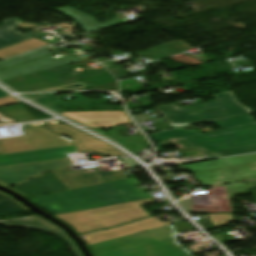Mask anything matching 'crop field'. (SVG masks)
<instances>
[{
  "instance_id": "obj_1",
  "label": "crop field",
  "mask_w": 256,
  "mask_h": 256,
  "mask_svg": "<svg viewBox=\"0 0 256 256\" xmlns=\"http://www.w3.org/2000/svg\"><path fill=\"white\" fill-rule=\"evenodd\" d=\"M135 179H126L29 199L51 215L151 197Z\"/></svg>"
},
{
  "instance_id": "obj_2",
  "label": "crop field",
  "mask_w": 256,
  "mask_h": 256,
  "mask_svg": "<svg viewBox=\"0 0 256 256\" xmlns=\"http://www.w3.org/2000/svg\"><path fill=\"white\" fill-rule=\"evenodd\" d=\"M173 225L90 245L94 256H191L175 240ZM179 232L195 230L188 222L174 224Z\"/></svg>"
},
{
  "instance_id": "obj_3",
  "label": "crop field",
  "mask_w": 256,
  "mask_h": 256,
  "mask_svg": "<svg viewBox=\"0 0 256 256\" xmlns=\"http://www.w3.org/2000/svg\"><path fill=\"white\" fill-rule=\"evenodd\" d=\"M163 142L155 144L158 152L164 151ZM172 142L174 145H180L181 150L198 149L202 157H225L256 152V124L173 139Z\"/></svg>"
},
{
  "instance_id": "obj_4",
  "label": "crop field",
  "mask_w": 256,
  "mask_h": 256,
  "mask_svg": "<svg viewBox=\"0 0 256 256\" xmlns=\"http://www.w3.org/2000/svg\"><path fill=\"white\" fill-rule=\"evenodd\" d=\"M217 100L178 108L174 103L155 106L172 127L251 114V109L239 103L233 92L214 95Z\"/></svg>"
},
{
  "instance_id": "obj_5",
  "label": "crop field",
  "mask_w": 256,
  "mask_h": 256,
  "mask_svg": "<svg viewBox=\"0 0 256 256\" xmlns=\"http://www.w3.org/2000/svg\"><path fill=\"white\" fill-rule=\"evenodd\" d=\"M153 198L77 211L55 217L73 227L79 234L110 228L150 215L140 206L154 203Z\"/></svg>"
},
{
  "instance_id": "obj_6",
  "label": "crop field",
  "mask_w": 256,
  "mask_h": 256,
  "mask_svg": "<svg viewBox=\"0 0 256 256\" xmlns=\"http://www.w3.org/2000/svg\"><path fill=\"white\" fill-rule=\"evenodd\" d=\"M102 71V73H100ZM79 74L92 86L115 82L104 69L73 73L64 65L3 81L19 92H31L69 82L80 81Z\"/></svg>"
},
{
  "instance_id": "obj_7",
  "label": "crop field",
  "mask_w": 256,
  "mask_h": 256,
  "mask_svg": "<svg viewBox=\"0 0 256 256\" xmlns=\"http://www.w3.org/2000/svg\"><path fill=\"white\" fill-rule=\"evenodd\" d=\"M33 101L89 128H110L117 124H132L124 111L60 113L57 105L44 103L55 101V95Z\"/></svg>"
},
{
  "instance_id": "obj_8",
  "label": "crop field",
  "mask_w": 256,
  "mask_h": 256,
  "mask_svg": "<svg viewBox=\"0 0 256 256\" xmlns=\"http://www.w3.org/2000/svg\"><path fill=\"white\" fill-rule=\"evenodd\" d=\"M160 218H162V217L161 216L152 217V218L137 221L134 223L119 226V227L112 228V229L105 230V231L100 230L98 232H91L89 234L82 235V236L87 237L84 239V241L87 243V245H90V244L102 242L105 240L121 237L124 235H128V234H132V233H136V232H140V231H144V230H148V229H152V228L170 224V221L162 223L161 221L158 220Z\"/></svg>"
},
{
  "instance_id": "obj_9",
  "label": "crop field",
  "mask_w": 256,
  "mask_h": 256,
  "mask_svg": "<svg viewBox=\"0 0 256 256\" xmlns=\"http://www.w3.org/2000/svg\"><path fill=\"white\" fill-rule=\"evenodd\" d=\"M82 59L76 56H70L62 59L54 60L51 57L47 56L41 59H37L22 65H18L3 71H0V80H7L10 78L18 77L21 75H25L28 73L36 72L39 70L51 68L54 66L69 64L77 61H81Z\"/></svg>"
},
{
  "instance_id": "obj_10",
  "label": "crop field",
  "mask_w": 256,
  "mask_h": 256,
  "mask_svg": "<svg viewBox=\"0 0 256 256\" xmlns=\"http://www.w3.org/2000/svg\"><path fill=\"white\" fill-rule=\"evenodd\" d=\"M0 225L3 227H32L34 229H43L47 232L55 234L62 241L69 244L77 256H82L78 248L75 246V244L72 242V240L68 237L67 234L63 233L59 229V227L55 226L54 224L50 223L49 221L41 217L12 221V222H5V223H0ZM53 226L57 228L52 229L51 227Z\"/></svg>"
},
{
  "instance_id": "obj_11",
  "label": "crop field",
  "mask_w": 256,
  "mask_h": 256,
  "mask_svg": "<svg viewBox=\"0 0 256 256\" xmlns=\"http://www.w3.org/2000/svg\"><path fill=\"white\" fill-rule=\"evenodd\" d=\"M54 11L62 12L68 15L69 17L73 18L77 23H79L84 28L86 33L94 30L102 29L105 27H109L112 25L120 24V22L117 19L104 22V23H98L96 22L95 18L83 12H80L70 6L55 9Z\"/></svg>"
},
{
  "instance_id": "obj_12",
  "label": "crop field",
  "mask_w": 256,
  "mask_h": 256,
  "mask_svg": "<svg viewBox=\"0 0 256 256\" xmlns=\"http://www.w3.org/2000/svg\"><path fill=\"white\" fill-rule=\"evenodd\" d=\"M20 22L22 21L14 18V19L4 21V25L0 26V48L15 44L17 42L28 39L32 36L41 38L39 35L32 32L21 34L11 29L13 27L17 28L14 25Z\"/></svg>"
},
{
  "instance_id": "obj_13",
  "label": "crop field",
  "mask_w": 256,
  "mask_h": 256,
  "mask_svg": "<svg viewBox=\"0 0 256 256\" xmlns=\"http://www.w3.org/2000/svg\"><path fill=\"white\" fill-rule=\"evenodd\" d=\"M201 134L197 130L194 131H184L182 128L149 134V138L152 140V142L155 141H161V140H167V139H173V138H179V137H185V136H191V135H197Z\"/></svg>"
},
{
  "instance_id": "obj_14",
  "label": "crop field",
  "mask_w": 256,
  "mask_h": 256,
  "mask_svg": "<svg viewBox=\"0 0 256 256\" xmlns=\"http://www.w3.org/2000/svg\"><path fill=\"white\" fill-rule=\"evenodd\" d=\"M120 143L123 147L138 153L141 150H147L150 148V144L148 140L145 137H129L124 139H113ZM129 140H132V142H129Z\"/></svg>"
},
{
  "instance_id": "obj_15",
  "label": "crop field",
  "mask_w": 256,
  "mask_h": 256,
  "mask_svg": "<svg viewBox=\"0 0 256 256\" xmlns=\"http://www.w3.org/2000/svg\"><path fill=\"white\" fill-rule=\"evenodd\" d=\"M212 122L219 128L225 129V128H231V127L256 123V120L252 118L250 115H246V116L216 120Z\"/></svg>"
},
{
  "instance_id": "obj_16",
  "label": "crop field",
  "mask_w": 256,
  "mask_h": 256,
  "mask_svg": "<svg viewBox=\"0 0 256 256\" xmlns=\"http://www.w3.org/2000/svg\"><path fill=\"white\" fill-rule=\"evenodd\" d=\"M28 211L12 198L0 193V215Z\"/></svg>"
},
{
  "instance_id": "obj_17",
  "label": "crop field",
  "mask_w": 256,
  "mask_h": 256,
  "mask_svg": "<svg viewBox=\"0 0 256 256\" xmlns=\"http://www.w3.org/2000/svg\"><path fill=\"white\" fill-rule=\"evenodd\" d=\"M49 54H51L49 52V50L47 48H44V49L35 51L33 53L24 55V56H26V58H24V59H20V60H17V61H14V60L10 59V60H7V61H4V62L0 63V70L6 69V68H9V67L18 65V64H22V63H25V62H28V61H31V60H34V59H37V58H41V57L47 56Z\"/></svg>"
},
{
  "instance_id": "obj_18",
  "label": "crop field",
  "mask_w": 256,
  "mask_h": 256,
  "mask_svg": "<svg viewBox=\"0 0 256 256\" xmlns=\"http://www.w3.org/2000/svg\"><path fill=\"white\" fill-rule=\"evenodd\" d=\"M47 44H50V43L43 41V40L36 39V38H31V39H28L26 41L20 42L18 44H15V45H12L9 47L13 48L18 53L22 54V53L39 48V47L47 45Z\"/></svg>"
},
{
  "instance_id": "obj_19",
  "label": "crop field",
  "mask_w": 256,
  "mask_h": 256,
  "mask_svg": "<svg viewBox=\"0 0 256 256\" xmlns=\"http://www.w3.org/2000/svg\"><path fill=\"white\" fill-rule=\"evenodd\" d=\"M158 48H160L164 53H166L168 56L173 55V54H177L180 53L182 51H185L187 49H189L187 47V44L178 41L175 43H170V44H165L162 46H158Z\"/></svg>"
},
{
  "instance_id": "obj_20",
  "label": "crop field",
  "mask_w": 256,
  "mask_h": 256,
  "mask_svg": "<svg viewBox=\"0 0 256 256\" xmlns=\"http://www.w3.org/2000/svg\"><path fill=\"white\" fill-rule=\"evenodd\" d=\"M85 88H89V86L85 82L80 81L40 91L82 90Z\"/></svg>"
},
{
  "instance_id": "obj_21",
  "label": "crop field",
  "mask_w": 256,
  "mask_h": 256,
  "mask_svg": "<svg viewBox=\"0 0 256 256\" xmlns=\"http://www.w3.org/2000/svg\"><path fill=\"white\" fill-rule=\"evenodd\" d=\"M136 53L137 54H144V55L150 56V57L155 58V59H160L162 57H166L167 56L166 54H164L157 47L151 48V49H147V50H143V51H139V52H136Z\"/></svg>"
},
{
  "instance_id": "obj_22",
  "label": "crop field",
  "mask_w": 256,
  "mask_h": 256,
  "mask_svg": "<svg viewBox=\"0 0 256 256\" xmlns=\"http://www.w3.org/2000/svg\"><path fill=\"white\" fill-rule=\"evenodd\" d=\"M86 93V92H82ZM76 103H58L59 106H75V105H90L89 99L79 95V93H74Z\"/></svg>"
},
{
  "instance_id": "obj_23",
  "label": "crop field",
  "mask_w": 256,
  "mask_h": 256,
  "mask_svg": "<svg viewBox=\"0 0 256 256\" xmlns=\"http://www.w3.org/2000/svg\"><path fill=\"white\" fill-rule=\"evenodd\" d=\"M15 55H18V53L8 47L0 49V59H8Z\"/></svg>"
},
{
  "instance_id": "obj_24",
  "label": "crop field",
  "mask_w": 256,
  "mask_h": 256,
  "mask_svg": "<svg viewBox=\"0 0 256 256\" xmlns=\"http://www.w3.org/2000/svg\"><path fill=\"white\" fill-rule=\"evenodd\" d=\"M19 102L20 101H18L17 99L11 96L0 98V106L6 105V104H12V103H19Z\"/></svg>"
},
{
  "instance_id": "obj_25",
  "label": "crop field",
  "mask_w": 256,
  "mask_h": 256,
  "mask_svg": "<svg viewBox=\"0 0 256 256\" xmlns=\"http://www.w3.org/2000/svg\"><path fill=\"white\" fill-rule=\"evenodd\" d=\"M53 94H57V93H50V94H31V95H24L26 97H28L29 99H36V98H40V97H44V96H49V95H53Z\"/></svg>"
},
{
  "instance_id": "obj_26",
  "label": "crop field",
  "mask_w": 256,
  "mask_h": 256,
  "mask_svg": "<svg viewBox=\"0 0 256 256\" xmlns=\"http://www.w3.org/2000/svg\"><path fill=\"white\" fill-rule=\"evenodd\" d=\"M16 26H19V27H22V28H30V27H33V26L42 27V25H40V24H28V23H25V22L17 24Z\"/></svg>"
},
{
  "instance_id": "obj_27",
  "label": "crop field",
  "mask_w": 256,
  "mask_h": 256,
  "mask_svg": "<svg viewBox=\"0 0 256 256\" xmlns=\"http://www.w3.org/2000/svg\"><path fill=\"white\" fill-rule=\"evenodd\" d=\"M112 72L117 77V79L122 77L126 73V71L123 69L113 70Z\"/></svg>"
},
{
  "instance_id": "obj_28",
  "label": "crop field",
  "mask_w": 256,
  "mask_h": 256,
  "mask_svg": "<svg viewBox=\"0 0 256 256\" xmlns=\"http://www.w3.org/2000/svg\"><path fill=\"white\" fill-rule=\"evenodd\" d=\"M91 89H102V90H109L108 85L105 86H97V87H92Z\"/></svg>"
},
{
  "instance_id": "obj_29",
  "label": "crop field",
  "mask_w": 256,
  "mask_h": 256,
  "mask_svg": "<svg viewBox=\"0 0 256 256\" xmlns=\"http://www.w3.org/2000/svg\"><path fill=\"white\" fill-rule=\"evenodd\" d=\"M109 87H110V90H111V91H116V90H117V85H116V83L109 84Z\"/></svg>"
},
{
  "instance_id": "obj_30",
  "label": "crop field",
  "mask_w": 256,
  "mask_h": 256,
  "mask_svg": "<svg viewBox=\"0 0 256 256\" xmlns=\"http://www.w3.org/2000/svg\"><path fill=\"white\" fill-rule=\"evenodd\" d=\"M93 130L98 132V133H100V134H102V135H104V136H106L105 132L102 131L101 129H93Z\"/></svg>"
},
{
  "instance_id": "obj_31",
  "label": "crop field",
  "mask_w": 256,
  "mask_h": 256,
  "mask_svg": "<svg viewBox=\"0 0 256 256\" xmlns=\"http://www.w3.org/2000/svg\"><path fill=\"white\" fill-rule=\"evenodd\" d=\"M3 96H8V94L0 89V97H3Z\"/></svg>"
},
{
  "instance_id": "obj_32",
  "label": "crop field",
  "mask_w": 256,
  "mask_h": 256,
  "mask_svg": "<svg viewBox=\"0 0 256 256\" xmlns=\"http://www.w3.org/2000/svg\"><path fill=\"white\" fill-rule=\"evenodd\" d=\"M119 67H124V66L110 67L108 69L111 70V69H115V68H119Z\"/></svg>"
},
{
  "instance_id": "obj_33",
  "label": "crop field",
  "mask_w": 256,
  "mask_h": 256,
  "mask_svg": "<svg viewBox=\"0 0 256 256\" xmlns=\"http://www.w3.org/2000/svg\"><path fill=\"white\" fill-rule=\"evenodd\" d=\"M20 58H24V57H23V56H21V57H17V58H13V59L17 60V59H20Z\"/></svg>"
}]
</instances>
